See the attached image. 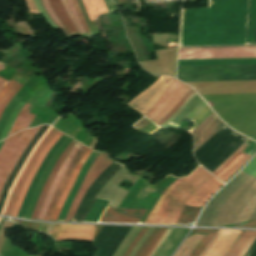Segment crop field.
Segmentation results:
<instances>
[{"label": "crop field", "instance_id": "obj_38", "mask_svg": "<svg viewBox=\"0 0 256 256\" xmlns=\"http://www.w3.org/2000/svg\"><path fill=\"white\" fill-rule=\"evenodd\" d=\"M61 1H62L63 5H64V7H65V9H66V11H67V13H68V15L70 16L71 20L73 21V23H74L76 29L78 30L79 34H80L81 36H83L82 33L80 32L78 26L76 25V23H75V21H74L72 15H71V13H70V10H69V8H68V5H67V3H66V0H61Z\"/></svg>", "mask_w": 256, "mask_h": 256}, {"label": "crop field", "instance_id": "obj_31", "mask_svg": "<svg viewBox=\"0 0 256 256\" xmlns=\"http://www.w3.org/2000/svg\"><path fill=\"white\" fill-rule=\"evenodd\" d=\"M51 128H52V127H50V128L45 132V134L41 137V139H40V140L37 142V144L34 146L32 152L30 153V155H29V157H28V159L26 160L25 164L23 165V167H22L20 173H19L18 176L15 178V180H14V182H13V185H12V187H11V190H10V192H9V194H8L7 200H6V202H5L4 208H3V210H2V213H4L5 207H6L7 202H8V198H9V196H10V194H11V192H12V190H13V188H14L16 182H17V180L19 179L21 173L23 172V170H24V168L26 167L28 161L30 160V158H31V156H32V154H33V152L35 151V149L37 148V146L39 145V143L41 142V140H42V139L46 136V134L51 130ZM2 213H1V214H2Z\"/></svg>", "mask_w": 256, "mask_h": 256}, {"label": "crop field", "instance_id": "obj_3", "mask_svg": "<svg viewBox=\"0 0 256 256\" xmlns=\"http://www.w3.org/2000/svg\"><path fill=\"white\" fill-rule=\"evenodd\" d=\"M244 170L256 175V156ZM244 170L205 211L197 225L219 226L256 218V176Z\"/></svg>", "mask_w": 256, "mask_h": 256}, {"label": "crop field", "instance_id": "obj_1", "mask_svg": "<svg viewBox=\"0 0 256 256\" xmlns=\"http://www.w3.org/2000/svg\"><path fill=\"white\" fill-rule=\"evenodd\" d=\"M182 10L180 46L246 44L250 0H210Z\"/></svg>", "mask_w": 256, "mask_h": 256}, {"label": "crop field", "instance_id": "obj_11", "mask_svg": "<svg viewBox=\"0 0 256 256\" xmlns=\"http://www.w3.org/2000/svg\"><path fill=\"white\" fill-rule=\"evenodd\" d=\"M203 100L195 93L187 102H185L169 119L163 124L172 122L178 125L189 113H191ZM212 111L207 106L200 114H198L192 122L195 125L189 130L190 132L198 126V124L206 118Z\"/></svg>", "mask_w": 256, "mask_h": 256}, {"label": "crop field", "instance_id": "obj_17", "mask_svg": "<svg viewBox=\"0 0 256 256\" xmlns=\"http://www.w3.org/2000/svg\"><path fill=\"white\" fill-rule=\"evenodd\" d=\"M76 142H77V141H75V140L73 139L72 142L67 146V148L65 149V151L60 155L59 159L57 160V162H56V164H55V166H54V168H53V170H52L50 176L48 177V179H47V181H46V183H45V185H44V187H43V190H42V192H41L40 198H39V200H38V202H37V204H36L35 210H34L33 215H32L31 218H33V219H36V218H37L38 213H39V211H40V208H41V206H42V203H43V201H44V199H45V197H46V195H47V193H48V191H49V188H50V186H51V184H52V182H53V180H54V178H55L57 172L59 171V169H60V167H61V165H62V163H63L65 157L68 155V153L70 152L72 146H73Z\"/></svg>", "mask_w": 256, "mask_h": 256}, {"label": "crop field", "instance_id": "obj_41", "mask_svg": "<svg viewBox=\"0 0 256 256\" xmlns=\"http://www.w3.org/2000/svg\"><path fill=\"white\" fill-rule=\"evenodd\" d=\"M3 142H4V140L0 142V147H1V145H2Z\"/></svg>", "mask_w": 256, "mask_h": 256}, {"label": "crop field", "instance_id": "obj_39", "mask_svg": "<svg viewBox=\"0 0 256 256\" xmlns=\"http://www.w3.org/2000/svg\"><path fill=\"white\" fill-rule=\"evenodd\" d=\"M254 226H256V220L251 222V223H248V224H246V225H244L242 227H254Z\"/></svg>", "mask_w": 256, "mask_h": 256}, {"label": "crop field", "instance_id": "obj_43", "mask_svg": "<svg viewBox=\"0 0 256 256\" xmlns=\"http://www.w3.org/2000/svg\"><path fill=\"white\" fill-rule=\"evenodd\" d=\"M1 66H2V63H0V68H1Z\"/></svg>", "mask_w": 256, "mask_h": 256}, {"label": "crop field", "instance_id": "obj_36", "mask_svg": "<svg viewBox=\"0 0 256 256\" xmlns=\"http://www.w3.org/2000/svg\"><path fill=\"white\" fill-rule=\"evenodd\" d=\"M16 82L10 80L3 88L2 90L0 91V102L1 100L7 95V93L11 90V88L13 87V85L15 84Z\"/></svg>", "mask_w": 256, "mask_h": 256}, {"label": "crop field", "instance_id": "obj_14", "mask_svg": "<svg viewBox=\"0 0 256 256\" xmlns=\"http://www.w3.org/2000/svg\"><path fill=\"white\" fill-rule=\"evenodd\" d=\"M58 130L52 128V130L49 132V134L45 137V139L42 141V143L40 144V146L38 147V149L36 150V152L34 153V155L32 156L31 160L29 161L26 169L24 170L23 174L21 175L14 191L12 192L11 196H10V199H9V203H8V206H7V209L5 211V215H10L11 213V210H12V207L15 203V200H16V197L29 173V171L31 170L32 166L34 165L38 155L41 153V151L43 150L44 146L48 143V141L50 139L53 138V136L56 134Z\"/></svg>", "mask_w": 256, "mask_h": 256}, {"label": "crop field", "instance_id": "obj_5", "mask_svg": "<svg viewBox=\"0 0 256 256\" xmlns=\"http://www.w3.org/2000/svg\"><path fill=\"white\" fill-rule=\"evenodd\" d=\"M183 82L256 80V65L178 67Z\"/></svg>", "mask_w": 256, "mask_h": 256}, {"label": "crop field", "instance_id": "obj_4", "mask_svg": "<svg viewBox=\"0 0 256 256\" xmlns=\"http://www.w3.org/2000/svg\"><path fill=\"white\" fill-rule=\"evenodd\" d=\"M158 80L146 91L142 92L129 104L137 111L146 116L163 99H165L181 82L166 76L156 77ZM192 89L185 84H181L165 100H163L153 111L135 125L136 128L145 132L155 125L164 115H166L182 98Z\"/></svg>", "mask_w": 256, "mask_h": 256}, {"label": "crop field", "instance_id": "obj_26", "mask_svg": "<svg viewBox=\"0 0 256 256\" xmlns=\"http://www.w3.org/2000/svg\"><path fill=\"white\" fill-rule=\"evenodd\" d=\"M251 156L241 153L233 162H231L222 172H220L216 177L221 181H225L229 176H231L243 163H245Z\"/></svg>", "mask_w": 256, "mask_h": 256}, {"label": "crop field", "instance_id": "obj_24", "mask_svg": "<svg viewBox=\"0 0 256 256\" xmlns=\"http://www.w3.org/2000/svg\"><path fill=\"white\" fill-rule=\"evenodd\" d=\"M167 229L154 228L142 248L139 250L136 256H149L153 248L159 242Z\"/></svg>", "mask_w": 256, "mask_h": 256}, {"label": "crop field", "instance_id": "obj_32", "mask_svg": "<svg viewBox=\"0 0 256 256\" xmlns=\"http://www.w3.org/2000/svg\"><path fill=\"white\" fill-rule=\"evenodd\" d=\"M22 87L20 84H16L12 90L8 93V95L3 99V101L0 103V115L3 112L4 108L6 107L7 103L14 97V95L19 91V89Z\"/></svg>", "mask_w": 256, "mask_h": 256}, {"label": "crop field", "instance_id": "obj_6", "mask_svg": "<svg viewBox=\"0 0 256 256\" xmlns=\"http://www.w3.org/2000/svg\"><path fill=\"white\" fill-rule=\"evenodd\" d=\"M222 230L209 235L194 234L184 242L175 256H204ZM242 231L223 230L205 256H224Z\"/></svg>", "mask_w": 256, "mask_h": 256}, {"label": "crop field", "instance_id": "obj_33", "mask_svg": "<svg viewBox=\"0 0 256 256\" xmlns=\"http://www.w3.org/2000/svg\"><path fill=\"white\" fill-rule=\"evenodd\" d=\"M42 2H43V5H44L47 13L52 18V20L62 29V31L67 35V37L70 38V35L67 33V31L64 29V27L62 26V24L59 22V20L55 16L54 12L52 11L48 1L47 0H42Z\"/></svg>", "mask_w": 256, "mask_h": 256}, {"label": "crop field", "instance_id": "obj_42", "mask_svg": "<svg viewBox=\"0 0 256 256\" xmlns=\"http://www.w3.org/2000/svg\"><path fill=\"white\" fill-rule=\"evenodd\" d=\"M29 150V149H28ZM27 153V152H26ZM14 175V174H13ZM13 177V176H12ZM11 180V179H10ZM7 189V188H6ZM5 196V195H4ZM4 199V198H3ZM3 201V200H2Z\"/></svg>", "mask_w": 256, "mask_h": 256}, {"label": "crop field", "instance_id": "obj_30", "mask_svg": "<svg viewBox=\"0 0 256 256\" xmlns=\"http://www.w3.org/2000/svg\"><path fill=\"white\" fill-rule=\"evenodd\" d=\"M248 147L246 144H242L229 158H227L212 174L215 176L223 170L235 157H237L243 150Z\"/></svg>", "mask_w": 256, "mask_h": 256}, {"label": "crop field", "instance_id": "obj_34", "mask_svg": "<svg viewBox=\"0 0 256 256\" xmlns=\"http://www.w3.org/2000/svg\"><path fill=\"white\" fill-rule=\"evenodd\" d=\"M195 92L192 90L184 99H182L166 116H164L157 125H161L172 113H174L187 99H189Z\"/></svg>", "mask_w": 256, "mask_h": 256}, {"label": "crop field", "instance_id": "obj_7", "mask_svg": "<svg viewBox=\"0 0 256 256\" xmlns=\"http://www.w3.org/2000/svg\"><path fill=\"white\" fill-rule=\"evenodd\" d=\"M39 128L40 126L33 129H25L21 134L34 136ZM17 133L7 137L0 149V195L7 178L33 139L31 136L20 135Z\"/></svg>", "mask_w": 256, "mask_h": 256}, {"label": "crop field", "instance_id": "obj_15", "mask_svg": "<svg viewBox=\"0 0 256 256\" xmlns=\"http://www.w3.org/2000/svg\"><path fill=\"white\" fill-rule=\"evenodd\" d=\"M63 133L59 132L55 135V137L50 140L49 144L46 146V148L42 151L41 155L39 156L38 160L36 161L35 165L33 166L27 180L25 181L20 193H19V196L17 198V201L15 203V207L11 213V215L13 216H17L19 210H20V207L22 205V202H23V199H24V196H25V193L34 177V175L36 174L43 158L45 157V155L48 153V151L50 150V148L54 145V143L60 138V136L62 135Z\"/></svg>", "mask_w": 256, "mask_h": 256}, {"label": "crop field", "instance_id": "obj_12", "mask_svg": "<svg viewBox=\"0 0 256 256\" xmlns=\"http://www.w3.org/2000/svg\"><path fill=\"white\" fill-rule=\"evenodd\" d=\"M224 124L213 113L206 118L196 129L191 133L195 137L194 152L200 148L208 139H210Z\"/></svg>", "mask_w": 256, "mask_h": 256}, {"label": "crop field", "instance_id": "obj_27", "mask_svg": "<svg viewBox=\"0 0 256 256\" xmlns=\"http://www.w3.org/2000/svg\"><path fill=\"white\" fill-rule=\"evenodd\" d=\"M28 106H29V104L26 103V105L21 109V111L18 114L14 123L29 126V124L31 123V121L33 120V118L36 115H32V114L28 113V111H29V109H27ZM16 124L13 125L9 135H11L23 128H27L26 126H21V125H16Z\"/></svg>", "mask_w": 256, "mask_h": 256}, {"label": "crop field", "instance_id": "obj_29", "mask_svg": "<svg viewBox=\"0 0 256 256\" xmlns=\"http://www.w3.org/2000/svg\"><path fill=\"white\" fill-rule=\"evenodd\" d=\"M24 104H25L24 102H20L19 101L17 103V105L15 106V108L13 109V111L11 112V114H10V116L8 118V121H7V123H6L5 127H4L1 135H0V140L6 138V136H7L8 132H9V130H10V128H11V126H12V124H13L16 116H17V114L19 113L20 109L24 106Z\"/></svg>", "mask_w": 256, "mask_h": 256}, {"label": "crop field", "instance_id": "obj_10", "mask_svg": "<svg viewBox=\"0 0 256 256\" xmlns=\"http://www.w3.org/2000/svg\"><path fill=\"white\" fill-rule=\"evenodd\" d=\"M96 227L56 225L51 236L58 241H92Z\"/></svg>", "mask_w": 256, "mask_h": 256}, {"label": "crop field", "instance_id": "obj_37", "mask_svg": "<svg viewBox=\"0 0 256 256\" xmlns=\"http://www.w3.org/2000/svg\"><path fill=\"white\" fill-rule=\"evenodd\" d=\"M73 2H74V5H75V7H76V9H77V11H78L80 21H81V23H82V25H83V27H84L86 33H87V34L91 33L90 30H89V28H88V26H87V24H86V22H85V20H84V18H83V16H82V14H81L80 8H79L78 3H77V0H73ZM77 11H76V12H77Z\"/></svg>", "mask_w": 256, "mask_h": 256}, {"label": "crop field", "instance_id": "obj_16", "mask_svg": "<svg viewBox=\"0 0 256 256\" xmlns=\"http://www.w3.org/2000/svg\"><path fill=\"white\" fill-rule=\"evenodd\" d=\"M67 137H68V136H66V135L63 134L62 137L55 143V145L51 148V150L49 151V153L46 155V157H45V159H44V161H43L41 167L39 168V170H38V172H37V174H36V176H35V178H34L32 184H31V186H30V188H29V190H28V192H27V194H26V196H25L23 205H22V207H21V210H20L18 216H20V217H23V216H24L25 211H26V208H27L28 203H29V201H30V198H31V196H32V194H33V191H34V189H35V187H36V184H37V182H38V180H39L41 174H42V173L44 172V170L46 169V167H47V165H48V163H49V161H50L52 155H53V154L55 153V151L59 148V146L67 139Z\"/></svg>", "mask_w": 256, "mask_h": 256}, {"label": "crop field", "instance_id": "obj_25", "mask_svg": "<svg viewBox=\"0 0 256 256\" xmlns=\"http://www.w3.org/2000/svg\"><path fill=\"white\" fill-rule=\"evenodd\" d=\"M83 4L88 13L91 23L96 22V16L108 12L103 0H83Z\"/></svg>", "mask_w": 256, "mask_h": 256}, {"label": "crop field", "instance_id": "obj_28", "mask_svg": "<svg viewBox=\"0 0 256 256\" xmlns=\"http://www.w3.org/2000/svg\"><path fill=\"white\" fill-rule=\"evenodd\" d=\"M109 203L108 200L97 198L94 206L88 214L85 222H98L105 206ZM107 207V206H106Z\"/></svg>", "mask_w": 256, "mask_h": 256}, {"label": "crop field", "instance_id": "obj_20", "mask_svg": "<svg viewBox=\"0 0 256 256\" xmlns=\"http://www.w3.org/2000/svg\"><path fill=\"white\" fill-rule=\"evenodd\" d=\"M91 151L92 150L87 148V150L85 151V153L83 154L81 159L78 161L77 166H76L73 174L71 175V177H70V179H69V181H68V183H67V185H66V187H65V189H64V191H63V193H62V195H61V197H60V199H59V201L57 203V206H56V208H55V210H54L50 220L56 221V219H57V217H58V215H59V213H60V211L62 209L64 201H65V199H66V197H67V195H68V193H69V191H70V189H71V187H72V185H73V183H74V181H75V179H76V177H77L81 167L83 166L84 162L88 158V156L91 153Z\"/></svg>", "mask_w": 256, "mask_h": 256}, {"label": "crop field", "instance_id": "obj_19", "mask_svg": "<svg viewBox=\"0 0 256 256\" xmlns=\"http://www.w3.org/2000/svg\"><path fill=\"white\" fill-rule=\"evenodd\" d=\"M100 154V153H99ZM98 155V152H94L92 151L91 155L89 156V158L87 159L86 163L84 164L80 174L78 175L69 195H68V198L63 206V209L58 217V220L57 221H63L66 214H67V211H68V208L74 198V196L76 195L80 185H81V182L90 166V164L92 163V161L95 159V157Z\"/></svg>", "mask_w": 256, "mask_h": 256}, {"label": "crop field", "instance_id": "obj_35", "mask_svg": "<svg viewBox=\"0 0 256 256\" xmlns=\"http://www.w3.org/2000/svg\"><path fill=\"white\" fill-rule=\"evenodd\" d=\"M67 3H68V5H69V8H70V10H71V12H72V14H73V16H74V18H75L77 24H78L80 30H81L82 33H83L84 37H87V35H86V33H85V31H84V29H83V27H82V25H81L79 19H78V15H77V12H76V9H75V7H74V5H73L72 0H67Z\"/></svg>", "mask_w": 256, "mask_h": 256}, {"label": "crop field", "instance_id": "obj_18", "mask_svg": "<svg viewBox=\"0 0 256 256\" xmlns=\"http://www.w3.org/2000/svg\"><path fill=\"white\" fill-rule=\"evenodd\" d=\"M86 148L87 147H85L84 145H81L79 150L76 152L73 160L70 162V164H69V166H68V168H67V170H66V172H65V174H64V176H63V178H62V180H61V182H60V184H59V186L56 190V193H55V195H54V197H53V199H52V201L49 205V208L47 210V213H46V216H45L44 220H49L50 219L51 214L53 212V209H54V207L57 203V200H58L66 182L68 181V179H69V177H70V175L73 171V168H74L75 164L77 163V161L79 160L80 156L82 155V153L85 151Z\"/></svg>", "mask_w": 256, "mask_h": 256}, {"label": "crop field", "instance_id": "obj_9", "mask_svg": "<svg viewBox=\"0 0 256 256\" xmlns=\"http://www.w3.org/2000/svg\"><path fill=\"white\" fill-rule=\"evenodd\" d=\"M113 162L114 161H112L110 158L103 155L102 153L97 157V159L91 165L77 196L75 197L69 208L68 214L64 221H70L73 218L75 211L88 187Z\"/></svg>", "mask_w": 256, "mask_h": 256}, {"label": "crop field", "instance_id": "obj_22", "mask_svg": "<svg viewBox=\"0 0 256 256\" xmlns=\"http://www.w3.org/2000/svg\"><path fill=\"white\" fill-rule=\"evenodd\" d=\"M255 239L256 231H244L226 256H243Z\"/></svg>", "mask_w": 256, "mask_h": 256}, {"label": "crop field", "instance_id": "obj_23", "mask_svg": "<svg viewBox=\"0 0 256 256\" xmlns=\"http://www.w3.org/2000/svg\"><path fill=\"white\" fill-rule=\"evenodd\" d=\"M50 5L55 12L58 19L61 21L63 26L69 32L70 35L77 33L75 27L73 26L70 18L68 17L67 13L65 12L62 3L60 0H49Z\"/></svg>", "mask_w": 256, "mask_h": 256}, {"label": "crop field", "instance_id": "obj_21", "mask_svg": "<svg viewBox=\"0 0 256 256\" xmlns=\"http://www.w3.org/2000/svg\"><path fill=\"white\" fill-rule=\"evenodd\" d=\"M79 146H80V143L77 142L76 145L73 147L71 153L67 156L64 164L62 165L56 179L54 180V182H53V184L50 188V191H49V193L46 197V200H45V202H44V204L41 208V211H40L39 216H38L37 219H40V220L43 219V217L46 213V210L48 208L49 202H50V200H51V198H52V196H53V194H54V192H55V190H56V188H57V186H58V184H59V182H60V180H61V178L64 174V171H65L66 167L68 166L69 162L71 161V159L73 158V156H74L75 152L77 151V149L79 148Z\"/></svg>", "mask_w": 256, "mask_h": 256}, {"label": "crop field", "instance_id": "obj_40", "mask_svg": "<svg viewBox=\"0 0 256 256\" xmlns=\"http://www.w3.org/2000/svg\"><path fill=\"white\" fill-rule=\"evenodd\" d=\"M8 81L0 78V89L7 83Z\"/></svg>", "mask_w": 256, "mask_h": 256}, {"label": "crop field", "instance_id": "obj_2", "mask_svg": "<svg viewBox=\"0 0 256 256\" xmlns=\"http://www.w3.org/2000/svg\"><path fill=\"white\" fill-rule=\"evenodd\" d=\"M212 177L199 167L189 178L177 179L165 193L163 192L164 194L143 223L175 224L184 204ZM222 185L223 183L213 177L186 204L202 208ZM187 205L184 206L176 223L187 224L197 217L200 208Z\"/></svg>", "mask_w": 256, "mask_h": 256}, {"label": "crop field", "instance_id": "obj_13", "mask_svg": "<svg viewBox=\"0 0 256 256\" xmlns=\"http://www.w3.org/2000/svg\"><path fill=\"white\" fill-rule=\"evenodd\" d=\"M146 210L106 209L100 222L139 223Z\"/></svg>", "mask_w": 256, "mask_h": 256}, {"label": "crop field", "instance_id": "obj_8", "mask_svg": "<svg viewBox=\"0 0 256 256\" xmlns=\"http://www.w3.org/2000/svg\"><path fill=\"white\" fill-rule=\"evenodd\" d=\"M256 57V47L179 49L178 59Z\"/></svg>", "mask_w": 256, "mask_h": 256}]
</instances>
